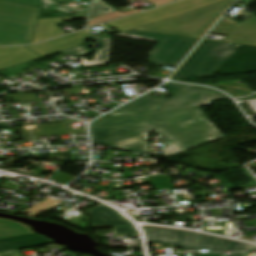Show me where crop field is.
I'll return each mask as SVG.
<instances>
[{
    "instance_id": "obj_2",
    "label": "crop field",
    "mask_w": 256,
    "mask_h": 256,
    "mask_svg": "<svg viewBox=\"0 0 256 256\" xmlns=\"http://www.w3.org/2000/svg\"><path fill=\"white\" fill-rule=\"evenodd\" d=\"M184 86V84L167 83L162 87L174 93ZM220 98H226V96L212 89L188 86L173 95L171 99L166 101L158 110L207 105L210 104V100ZM164 100H166L165 96L157 98L146 95L105 116L152 111L159 107Z\"/></svg>"
},
{
    "instance_id": "obj_16",
    "label": "crop field",
    "mask_w": 256,
    "mask_h": 256,
    "mask_svg": "<svg viewBox=\"0 0 256 256\" xmlns=\"http://www.w3.org/2000/svg\"><path fill=\"white\" fill-rule=\"evenodd\" d=\"M24 225L12 221L0 219V238L30 234Z\"/></svg>"
},
{
    "instance_id": "obj_5",
    "label": "crop field",
    "mask_w": 256,
    "mask_h": 256,
    "mask_svg": "<svg viewBox=\"0 0 256 256\" xmlns=\"http://www.w3.org/2000/svg\"><path fill=\"white\" fill-rule=\"evenodd\" d=\"M147 240L154 244H173L183 248L182 252H209L256 250V246L247 245L227 239L206 236L194 232L169 230L158 227H143Z\"/></svg>"
},
{
    "instance_id": "obj_21",
    "label": "crop field",
    "mask_w": 256,
    "mask_h": 256,
    "mask_svg": "<svg viewBox=\"0 0 256 256\" xmlns=\"http://www.w3.org/2000/svg\"><path fill=\"white\" fill-rule=\"evenodd\" d=\"M89 51H90V49L81 45V46H78V47H74V48H71V49H68V50L61 51V53L79 57V56H82V55L86 54Z\"/></svg>"
},
{
    "instance_id": "obj_10",
    "label": "crop field",
    "mask_w": 256,
    "mask_h": 256,
    "mask_svg": "<svg viewBox=\"0 0 256 256\" xmlns=\"http://www.w3.org/2000/svg\"><path fill=\"white\" fill-rule=\"evenodd\" d=\"M210 33L226 35V43L256 46V16L240 23L223 16Z\"/></svg>"
},
{
    "instance_id": "obj_23",
    "label": "crop field",
    "mask_w": 256,
    "mask_h": 256,
    "mask_svg": "<svg viewBox=\"0 0 256 256\" xmlns=\"http://www.w3.org/2000/svg\"><path fill=\"white\" fill-rule=\"evenodd\" d=\"M75 122V120L69 119L68 121L65 122V124L70 128V130L72 131V133H79V132H85V129L81 128V129H72L70 123Z\"/></svg>"
},
{
    "instance_id": "obj_4",
    "label": "crop field",
    "mask_w": 256,
    "mask_h": 256,
    "mask_svg": "<svg viewBox=\"0 0 256 256\" xmlns=\"http://www.w3.org/2000/svg\"><path fill=\"white\" fill-rule=\"evenodd\" d=\"M233 1H223L135 30L201 39Z\"/></svg>"
},
{
    "instance_id": "obj_7",
    "label": "crop field",
    "mask_w": 256,
    "mask_h": 256,
    "mask_svg": "<svg viewBox=\"0 0 256 256\" xmlns=\"http://www.w3.org/2000/svg\"><path fill=\"white\" fill-rule=\"evenodd\" d=\"M239 45L204 41L175 72L171 79L215 75Z\"/></svg>"
},
{
    "instance_id": "obj_26",
    "label": "crop field",
    "mask_w": 256,
    "mask_h": 256,
    "mask_svg": "<svg viewBox=\"0 0 256 256\" xmlns=\"http://www.w3.org/2000/svg\"><path fill=\"white\" fill-rule=\"evenodd\" d=\"M199 256H222V254H198Z\"/></svg>"
},
{
    "instance_id": "obj_20",
    "label": "crop field",
    "mask_w": 256,
    "mask_h": 256,
    "mask_svg": "<svg viewBox=\"0 0 256 256\" xmlns=\"http://www.w3.org/2000/svg\"><path fill=\"white\" fill-rule=\"evenodd\" d=\"M114 237L138 236L133 227L113 228Z\"/></svg>"
},
{
    "instance_id": "obj_18",
    "label": "crop field",
    "mask_w": 256,
    "mask_h": 256,
    "mask_svg": "<svg viewBox=\"0 0 256 256\" xmlns=\"http://www.w3.org/2000/svg\"><path fill=\"white\" fill-rule=\"evenodd\" d=\"M113 11H117V9L102 2V0H94L89 19L103 15V14H107Z\"/></svg>"
},
{
    "instance_id": "obj_3",
    "label": "crop field",
    "mask_w": 256,
    "mask_h": 256,
    "mask_svg": "<svg viewBox=\"0 0 256 256\" xmlns=\"http://www.w3.org/2000/svg\"><path fill=\"white\" fill-rule=\"evenodd\" d=\"M207 120L197 107L100 118L91 132Z\"/></svg>"
},
{
    "instance_id": "obj_17",
    "label": "crop field",
    "mask_w": 256,
    "mask_h": 256,
    "mask_svg": "<svg viewBox=\"0 0 256 256\" xmlns=\"http://www.w3.org/2000/svg\"><path fill=\"white\" fill-rule=\"evenodd\" d=\"M111 37L99 40L102 43V49L96 50L93 61H86L85 57L81 59L82 67L104 64L108 61V55L111 44Z\"/></svg>"
},
{
    "instance_id": "obj_9",
    "label": "crop field",
    "mask_w": 256,
    "mask_h": 256,
    "mask_svg": "<svg viewBox=\"0 0 256 256\" xmlns=\"http://www.w3.org/2000/svg\"><path fill=\"white\" fill-rule=\"evenodd\" d=\"M220 1L223 0H182L154 10L146 11L124 19H120L108 24L120 32L128 31L130 29L139 28L148 24H152L167 19L169 17L190 12L198 8Z\"/></svg>"
},
{
    "instance_id": "obj_1",
    "label": "crop field",
    "mask_w": 256,
    "mask_h": 256,
    "mask_svg": "<svg viewBox=\"0 0 256 256\" xmlns=\"http://www.w3.org/2000/svg\"><path fill=\"white\" fill-rule=\"evenodd\" d=\"M154 130L163 138L168 136L175 143L161 151L166 157L223 137L209 122H194L145 128L91 133L93 143L114 145L115 148L139 154L149 153L145 133Z\"/></svg>"
},
{
    "instance_id": "obj_13",
    "label": "crop field",
    "mask_w": 256,
    "mask_h": 256,
    "mask_svg": "<svg viewBox=\"0 0 256 256\" xmlns=\"http://www.w3.org/2000/svg\"><path fill=\"white\" fill-rule=\"evenodd\" d=\"M40 58L25 47L0 48V69Z\"/></svg>"
},
{
    "instance_id": "obj_15",
    "label": "crop field",
    "mask_w": 256,
    "mask_h": 256,
    "mask_svg": "<svg viewBox=\"0 0 256 256\" xmlns=\"http://www.w3.org/2000/svg\"><path fill=\"white\" fill-rule=\"evenodd\" d=\"M83 17H75V18H86ZM61 19H74V18H51V19H40L38 22V26L35 32V36L33 39V43L46 40L58 35L65 34L63 30L57 27L55 24L61 23ZM32 43V44H33Z\"/></svg>"
},
{
    "instance_id": "obj_25",
    "label": "crop field",
    "mask_w": 256,
    "mask_h": 256,
    "mask_svg": "<svg viewBox=\"0 0 256 256\" xmlns=\"http://www.w3.org/2000/svg\"><path fill=\"white\" fill-rule=\"evenodd\" d=\"M223 256H245V253H232V255H223Z\"/></svg>"
},
{
    "instance_id": "obj_19",
    "label": "crop field",
    "mask_w": 256,
    "mask_h": 256,
    "mask_svg": "<svg viewBox=\"0 0 256 256\" xmlns=\"http://www.w3.org/2000/svg\"><path fill=\"white\" fill-rule=\"evenodd\" d=\"M54 199H50V198H48V199H46V200H44V201H42L41 203H39V204H37L36 206H34V207H32L31 209H29V210H27L26 212H24L23 214H26V213H28L29 211H31V210H33L34 208H36L37 206H39V205H41L42 203H46V204H48L49 202H51V201H53ZM61 201H59V200H57V201H55V202H53L52 204H50V205H48L47 207H45V208H43L42 206V210H40V211H38V212H36L35 214H33V215H29L30 213H32V212H34V211H36V210H34V211H32V212H30L29 214H28V216L29 217H33V218H35V217H37L38 215H40V214H42L43 212H45L46 210H48V209H50V208H52V207H54V206H56L57 204H59ZM45 204V205H46ZM44 206V205H43ZM41 207H39V208H41ZM38 208V209H39Z\"/></svg>"
},
{
    "instance_id": "obj_6",
    "label": "crop field",
    "mask_w": 256,
    "mask_h": 256,
    "mask_svg": "<svg viewBox=\"0 0 256 256\" xmlns=\"http://www.w3.org/2000/svg\"><path fill=\"white\" fill-rule=\"evenodd\" d=\"M40 8L0 1V46L30 44Z\"/></svg>"
},
{
    "instance_id": "obj_14",
    "label": "crop field",
    "mask_w": 256,
    "mask_h": 256,
    "mask_svg": "<svg viewBox=\"0 0 256 256\" xmlns=\"http://www.w3.org/2000/svg\"><path fill=\"white\" fill-rule=\"evenodd\" d=\"M50 243L48 238L36 234L0 239V253Z\"/></svg>"
},
{
    "instance_id": "obj_24",
    "label": "crop field",
    "mask_w": 256,
    "mask_h": 256,
    "mask_svg": "<svg viewBox=\"0 0 256 256\" xmlns=\"http://www.w3.org/2000/svg\"><path fill=\"white\" fill-rule=\"evenodd\" d=\"M0 256H21V254L18 252V250L2 253Z\"/></svg>"
},
{
    "instance_id": "obj_12",
    "label": "crop field",
    "mask_w": 256,
    "mask_h": 256,
    "mask_svg": "<svg viewBox=\"0 0 256 256\" xmlns=\"http://www.w3.org/2000/svg\"><path fill=\"white\" fill-rule=\"evenodd\" d=\"M92 216L91 228L132 226L113 209L99 204L87 211Z\"/></svg>"
},
{
    "instance_id": "obj_8",
    "label": "crop field",
    "mask_w": 256,
    "mask_h": 256,
    "mask_svg": "<svg viewBox=\"0 0 256 256\" xmlns=\"http://www.w3.org/2000/svg\"><path fill=\"white\" fill-rule=\"evenodd\" d=\"M117 37L143 39L159 42L158 45L149 54L150 64L158 66L177 67L180 61L195 46L198 40L172 37L159 34L128 31L117 35Z\"/></svg>"
},
{
    "instance_id": "obj_11",
    "label": "crop field",
    "mask_w": 256,
    "mask_h": 256,
    "mask_svg": "<svg viewBox=\"0 0 256 256\" xmlns=\"http://www.w3.org/2000/svg\"><path fill=\"white\" fill-rule=\"evenodd\" d=\"M89 35H91L89 32L83 30L57 39L42 42L32 46H27V48L44 56L50 53L84 44L83 40Z\"/></svg>"
},
{
    "instance_id": "obj_22",
    "label": "crop field",
    "mask_w": 256,
    "mask_h": 256,
    "mask_svg": "<svg viewBox=\"0 0 256 256\" xmlns=\"http://www.w3.org/2000/svg\"><path fill=\"white\" fill-rule=\"evenodd\" d=\"M4 1H9V2H15V3H21V4L40 7V1L41 0H4ZM80 1L90 2L91 0H80Z\"/></svg>"
}]
</instances>
